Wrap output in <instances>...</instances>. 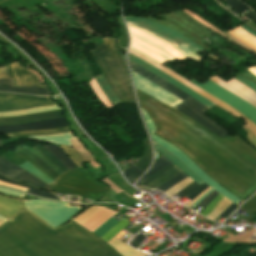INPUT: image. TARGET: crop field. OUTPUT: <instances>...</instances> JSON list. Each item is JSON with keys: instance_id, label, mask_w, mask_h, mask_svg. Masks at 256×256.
<instances>
[{"instance_id": "00972430", "label": "crop field", "mask_w": 256, "mask_h": 256, "mask_svg": "<svg viewBox=\"0 0 256 256\" xmlns=\"http://www.w3.org/2000/svg\"><path fill=\"white\" fill-rule=\"evenodd\" d=\"M43 148L55 155L67 168H76V166L70 161L69 157L61 148L53 145H45Z\"/></svg>"}, {"instance_id": "c035e120", "label": "crop field", "mask_w": 256, "mask_h": 256, "mask_svg": "<svg viewBox=\"0 0 256 256\" xmlns=\"http://www.w3.org/2000/svg\"><path fill=\"white\" fill-rule=\"evenodd\" d=\"M188 176H186L183 173L178 174L177 176H175L174 178L170 179L169 181H167L166 183H164L162 186H160L158 189L162 190V191H166L169 188H171L173 185H175L176 183L180 182L181 180H183L184 178H186Z\"/></svg>"}, {"instance_id": "0765c3eb", "label": "crop field", "mask_w": 256, "mask_h": 256, "mask_svg": "<svg viewBox=\"0 0 256 256\" xmlns=\"http://www.w3.org/2000/svg\"><path fill=\"white\" fill-rule=\"evenodd\" d=\"M211 188L209 187L208 189H206L202 194H200L197 198H195L193 201H191L188 205L186 206H190L192 205L197 199H199L202 195H204L208 190H210Z\"/></svg>"}, {"instance_id": "0fb4a251", "label": "crop field", "mask_w": 256, "mask_h": 256, "mask_svg": "<svg viewBox=\"0 0 256 256\" xmlns=\"http://www.w3.org/2000/svg\"><path fill=\"white\" fill-rule=\"evenodd\" d=\"M0 180L3 181V182H6V183H10V184H14V185L22 186V187H27V188L31 187V186H28V185H25V184H20V183L14 181V180H11L9 178H6V177L2 176V175H0ZM33 188H35V187H33Z\"/></svg>"}, {"instance_id": "d9b57169", "label": "crop field", "mask_w": 256, "mask_h": 256, "mask_svg": "<svg viewBox=\"0 0 256 256\" xmlns=\"http://www.w3.org/2000/svg\"><path fill=\"white\" fill-rule=\"evenodd\" d=\"M60 116H63L61 109L49 111V112L37 113V114L24 115V116L0 118V124H20V123L60 117Z\"/></svg>"}, {"instance_id": "214f88e0", "label": "crop field", "mask_w": 256, "mask_h": 256, "mask_svg": "<svg viewBox=\"0 0 256 256\" xmlns=\"http://www.w3.org/2000/svg\"><path fill=\"white\" fill-rule=\"evenodd\" d=\"M154 148L163 153L167 158H169L178 168H180L185 174L195 180L199 185L204 183L200 180L194 173H192L186 166H184L178 159H176L171 153L167 152L155 142H153ZM194 181V182H195Z\"/></svg>"}, {"instance_id": "d8731c3e", "label": "crop field", "mask_w": 256, "mask_h": 256, "mask_svg": "<svg viewBox=\"0 0 256 256\" xmlns=\"http://www.w3.org/2000/svg\"><path fill=\"white\" fill-rule=\"evenodd\" d=\"M54 102L47 97L1 93L0 92V111L18 110L33 106L53 104Z\"/></svg>"}, {"instance_id": "0bd39190", "label": "crop field", "mask_w": 256, "mask_h": 256, "mask_svg": "<svg viewBox=\"0 0 256 256\" xmlns=\"http://www.w3.org/2000/svg\"><path fill=\"white\" fill-rule=\"evenodd\" d=\"M61 147L78 167L83 166L82 165V163H84L83 159L73 148L63 147V146Z\"/></svg>"}, {"instance_id": "28ad6ade", "label": "crop field", "mask_w": 256, "mask_h": 256, "mask_svg": "<svg viewBox=\"0 0 256 256\" xmlns=\"http://www.w3.org/2000/svg\"><path fill=\"white\" fill-rule=\"evenodd\" d=\"M129 61L137 64L149 71H151L152 73L158 75L159 77L165 79L166 81L172 83L173 85H175L176 87L180 88L181 90H183L184 92L188 93L189 95H191L192 97H194L196 100H198L200 103H202L204 106L206 107H211L215 104L207 101L205 98L201 97L200 95H198L197 93H195L194 91L190 90L189 88H187L186 86H184L183 84L179 83L178 81H176L175 79L171 78L170 76L164 74L163 72L157 70L156 68L148 65L147 63L129 55Z\"/></svg>"}, {"instance_id": "dafd665d", "label": "crop field", "mask_w": 256, "mask_h": 256, "mask_svg": "<svg viewBox=\"0 0 256 256\" xmlns=\"http://www.w3.org/2000/svg\"><path fill=\"white\" fill-rule=\"evenodd\" d=\"M108 243L112 247H114L122 256H145L142 253L136 251L135 249L129 247L125 243L121 242L115 237L112 240H110Z\"/></svg>"}, {"instance_id": "425ffa30", "label": "crop field", "mask_w": 256, "mask_h": 256, "mask_svg": "<svg viewBox=\"0 0 256 256\" xmlns=\"http://www.w3.org/2000/svg\"><path fill=\"white\" fill-rule=\"evenodd\" d=\"M27 193L29 194H33V195H37V196H41V197H47V198H52V199H57L60 200L58 197L48 193V192H44V191H38V190H34L32 188H30Z\"/></svg>"}, {"instance_id": "1d83c4d3", "label": "crop field", "mask_w": 256, "mask_h": 256, "mask_svg": "<svg viewBox=\"0 0 256 256\" xmlns=\"http://www.w3.org/2000/svg\"><path fill=\"white\" fill-rule=\"evenodd\" d=\"M69 131L68 127L53 129V130H46V131H31V132H18L12 134H6L9 137L19 136V135H43V134H51V133H59V132H67Z\"/></svg>"}, {"instance_id": "d32e631a", "label": "crop field", "mask_w": 256, "mask_h": 256, "mask_svg": "<svg viewBox=\"0 0 256 256\" xmlns=\"http://www.w3.org/2000/svg\"><path fill=\"white\" fill-rule=\"evenodd\" d=\"M0 85H15L8 66L0 67Z\"/></svg>"}, {"instance_id": "eef30255", "label": "crop field", "mask_w": 256, "mask_h": 256, "mask_svg": "<svg viewBox=\"0 0 256 256\" xmlns=\"http://www.w3.org/2000/svg\"><path fill=\"white\" fill-rule=\"evenodd\" d=\"M99 86L101 87L102 91L105 93V95L110 99V101L114 104L120 102L118 100V98L115 96V94L112 92V90L110 89L109 85L107 84V82L105 81V79L103 78V76H97L95 77Z\"/></svg>"}, {"instance_id": "d1516ede", "label": "crop field", "mask_w": 256, "mask_h": 256, "mask_svg": "<svg viewBox=\"0 0 256 256\" xmlns=\"http://www.w3.org/2000/svg\"><path fill=\"white\" fill-rule=\"evenodd\" d=\"M64 126H67V125L61 117V118H55L50 120L25 123L20 125L0 126V133H7L12 131L52 129V128H58V127H64Z\"/></svg>"}, {"instance_id": "d23c7cc5", "label": "crop field", "mask_w": 256, "mask_h": 256, "mask_svg": "<svg viewBox=\"0 0 256 256\" xmlns=\"http://www.w3.org/2000/svg\"><path fill=\"white\" fill-rule=\"evenodd\" d=\"M241 209L255 213L256 212V195L246 202Z\"/></svg>"}, {"instance_id": "34b2d1b8", "label": "crop field", "mask_w": 256, "mask_h": 256, "mask_svg": "<svg viewBox=\"0 0 256 256\" xmlns=\"http://www.w3.org/2000/svg\"><path fill=\"white\" fill-rule=\"evenodd\" d=\"M111 188L96 181L83 167L69 171L57 179L50 190L79 194L98 200Z\"/></svg>"}, {"instance_id": "1d79db26", "label": "crop field", "mask_w": 256, "mask_h": 256, "mask_svg": "<svg viewBox=\"0 0 256 256\" xmlns=\"http://www.w3.org/2000/svg\"><path fill=\"white\" fill-rule=\"evenodd\" d=\"M244 129H245V131L248 132V139H249V141H250L254 146H256V136H255L250 130H248L247 128L244 127Z\"/></svg>"}, {"instance_id": "bc2a9ffb", "label": "crop field", "mask_w": 256, "mask_h": 256, "mask_svg": "<svg viewBox=\"0 0 256 256\" xmlns=\"http://www.w3.org/2000/svg\"><path fill=\"white\" fill-rule=\"evenodd\" d=\"M115 214L116 212L104 207L97 214H95L81 225L93 232Z\"/></svg>"}, {"instance_id": "db79e9e6", "label": "crop field", "mask_w": 256, "mask_h": 256, "mask_svg": "<svg viewBox=\"0 0 256 256\" xmlns=\"http://www.w3.org/2000/svg\"><path fill=\"white\" fill-rule=\"evenodd\" d=\"M241 27H243L246 31H248L250 34L254 35L256 37V33L254 31H252L250 28H248L246 25L242 24L240 25Z\"/></svg>"}, {"instance_id": "bd1437ed", "label": "crop field", "mask_w": 256, "mask_h": 256, "mask_svg": "<svg viewBox=\"0 0 256 256\" xmlns=\"http://www.w3.org/2000/svg\"><path fill=\"white\" fill-rule=\"evenodd\" d=\"M89 83H90V86H91L93 92L98 97V99L103 103V105L107 108H110L112 106L111 102L108 100V98L101 91V89L99 88L95 79H92L91 81H89Z\"/></svg>"}, {"instance_id": "03da06ac", "label": "crop field", "mask_w": 256, "mask_h": 256, "mask_svg": "<svg viewBox=\"0 0 256 256\" xmlns=\"http://www.w3.org/2000/svg\"><path fill=\"white\" fill-rule=\"evenodd\" d=\"M117 222H118V220L111 218L110 220H108L105 224H103L100 228H98L93 233H95L97 236L100 237L105 232H107L110 228H112Z\"/></svg>"}, {"instance_id": "92a150f3", "label": "crop field", "mask_w": 256, "mask_h": 256, "mask_svg": "<svg viewBox=\"0 0 256 256\" xmlns=\"http://www.w3.org/2000/svg\"><path fill=\"white\" fill-rule=\"evenodd\" d=\"M227 32H229L231 35H233L235 38H237L247 46L256 50V38L246 33L240 26Z\"/></svg>"}, {"instance_id": "e1f06a70", "label": "crop field", "mask_w": 256, "mask_h": 256, "mask_svg": "<svg viewBox=\"0 0 256 256\" xmlns=\"http://www.w3.org/2000/svg\"><path fill=\"white\" fill-rule=\"evenodd\" d=\"M102 207L100 206H93L90 207L89 209H87L84 213H82L81 215H79L78 217H76L75 221H77L78 223H83L84 221H86L88 218H90L91 216H93L98 210H100Z\"/></svg>"}, {"instance_id": "4177f3b9", "label": "crop field", "mask_w": 256, "mask_h": 256, "mask_svg": "<svg viewBox=\"0 0 256 256\" xmlns=\"http://www.w3.org/2000/svg\"><path fill=\"white\" fill-rule=\"evenodd\" d=\"M180 172L181 171L175 166V167L169 169L168 171H166L165 173H163L162 175H160L159 177H157L156 179H154L153 181L149 182L147 185H145V187H147V188H156V187H158L159 185H161L162 183H164L165 181H167L168 179H170L171 177H173L174 175H176ZM167 176H169V177L159 183L160 180L164 179Z\"/></svg>"}, {"instance_id": "d3111659", "label": "crop field", "mask_w": 256, "mask_h": 256, "mask_svg": "<svg viewBox=\"0 0 256 256\" xmlns=\"http://www.w3.org/2000/svg\"><path fill=\"white\" fill-rule=\"evenodd\" d=\"M172 163L171 161H169L167 158H165L164 156H160V158L153 164V166L151 167V169L148 171V173L143 177V179L138 183V185H140L144 180H146L148 177H150L151 175H153L154 173H156L158 170H160L161 168H163L164 166L168 165Z\"/></svg>"}, {"instance_id": "f4fd0767", "label": "crop field", "mask_w": 256, "mask_h": 256, "mask_svg": "<svg viewBox=\"0 0 256 256\" xmlns=\"http://www.w3.org/2000/svg\"><path fill=\"white\" fill-rule=\"evenodd\" d=\"M90 51L101 73L121 102H135L132 87H128L109 55L104 43Z\"/></svg>"}, {"instance_id": "750c4746", "label": "crop field", "mask_w": 256, "mask_h": 256, "mask_svg": "<svg viewBox=\"0 0 256 256\" xmlns=\"http://www.w3.org/2000/svg\"><path fill=\"white\" fill-rule=\"evenodd\" d=\"M34 149L37 150L40 154H42L46 159H48L55 167L60 169L63 173L68 171V169H66L57 158H55L53 155H51L46 150L42 149L41 147H39L37 145L34 147Z\"/></svg>"}, {"instance_id": "1f2cbd36", "label": "crop field", "mask_w": 256, "mask_h": 256, "mask_svg": "<svg viewBox=\"0 0 256 256\" xmlns=\"http://www.w3.org/2000/svg\"><path fill=\"white\" fill-rule=\"evenodd\" d=\"M175 166L173 163L164 167L163 169H161L159 172H157L156 174H154L153 176H151L149 179H147L145 182H143L141 185L144 186L145 184H147L149 181L153 180L154 178H156L157 176H159L160 174H162L163 172H165L166 170H168L169 168Z\"/></svg>"}, {"instance_id": "e52e79f7", "label": "crop field", "mask_w": 256, "mask_h": 256, "mask_svg": "<svg viewBox=\"0 0 256 256\" xmlns=\"http://www.w3.org/2000/svg\"><path fill=\"white\" fill-rule=\"evenodd\" d=\"M129 53L140 58L141 60L149 63L150 65L158 68L159 70L167 73L168 75L174 77L175 79H177L178 81H180L181 83H183L184 85L188 86L189 88H191L192 90H194L195 92H197L198 94L202 95L203 97L207 98L208 100L212 101L213 103L217 104L218 106L222 107L223 109L227 110L228 112H230L233 115H237L242 117L243 119H245L246 121H244L247 125V127L254 133L256 134V126L251 123L246 117H244L242 114H240L238 111L234 110L233 108L229 107L228 105L222 103L221 101L217 100L216 98L212 97L211 95H209L208 93L204 92L203 90H201L200 88H198L197 86L193 85L192 83H190L189 81H187L186 79H184L183 77L179 76L178 74H176L175 72H173L172 70L168 69L167 67L155 62L154 60L146 57L145 55L139 53L138 51L130 48Z\"/></svg>"}, {"instance_id": "5866460e", "label": "crop field", "mask_w": 256, "mask_h": 256, "mask_svg": "<svg viewBox=\"0 0 256 256\" xmlns=\"http://www.w3.org/2000/svg\"><path fill=\"white\" fill-rule=\"evenodd\" d=\"M150 162H151V150H150V146L146 145V151L144 155L135 165L144 172V170L148 167Z\"/></svg>"}, {"instance_id": "c21b1889", "label": "crop field", "mask_w": 256, "mask_h": 256, "mask_svg": "<svg viewBox=\"0 0 256 256\" xmlns=\"http://www.w3.org/2000/svg\"><path fill=\"white\" fill-rule=\"evenodd\" d=\"M191 182H193V181L188 177L185 180H183L182 182H180L179 184H177L176 186L169 189L165 193H167L171 197V196L175 195L176 193H178L180 190H182L184 187L189 185Z\"/></svg>"}, {"instance_id": "9d1cf04e", "label": "crop field", "mask_w": 256, "mask_h": 256, "mask_svg": "<svg viewBox=\"0 0 256 256\" xmlns=\"http://www.w3.org/2000/svg\"><path fill=\"white\" fill-rule=\"evenodd\" d=\"M237 205L231 204L221 215L220 217L225 218Z\"/></svg>"}, {"instance_id": "028f5c9d", "label": "crop field", "mask_w": 256, "mask_h": 256, "mask_svg": "<svg viewBox=\"0 0 256 256\" xmlns=\"http://www.w3.org/2000/svg\"><path fill=\"white\" fill-rule=\"evenodd\" d=\"M143 172L138 169L134 164L127 167L123 174L128 178V180L133 183Z\"/></svg>"}, {"instance_id": "730fd06b", "label": "crop field", "mask_w": 256, "mask_h": 256, "mask_svg": "<svg viewBox=\"0 0 256 256\" xmlns=\"http://www.w3.org/2000/svg\"><path fill=\"white\" fill-rule=\"evenodd\" d=\"M19 151L23 152L27 155L30 159H32L35 163H37L40 167H42L46 172H48L52 176H56L58 173L53 171L45 162H43L39 157H37L34 153L19 147Z\"/></svg>"}, {"instance_id": "dbb93151", "label": "crop field", "mask_w": 256, "mask_h": 256, "mask_svg": "<svg viewBox=\"0 0 256 256\" xmlns=\"http://www.w3.org/2000/svg\"><path fill=\"white\" fill-rule=\"evenodd\" d=\"M145 238V236L140 232L135 239L132 241V243L130 244L133 248H137L140 243L143 241V239Z\"/></svg>"}, {"instance_id": "22f410ed", "label": "crop field", "mask_w": 256, "mask_h": 256, "mask_svg": "<svg viewBox=\"0 0 256 256\" xmlns=\"http://www.w3.org/2000/svg\"><path fill=\"white\" fill-rule=\"evenodd\" d=\"M177 108L179 111L183 112L184 114L190 116L191 118L195 119L202 125H204L206 128L211 130L213 133H215L217 136H226L228 135L227 132H225L221 127H219L216 123L209 120L207 117H205L202 113L197 111L196 109L192 108L185 102L179 104L178 106L174 107Z\"/></svg>"}, {"instance_id": "89e229c0", "label": "crop field", "mask_w": 256, "mask_h": 256, "mask_svg": "<svg viewBox=\"0 0 256 256\" xmlns=\"http://www.w3.org/2000/svg\"><path fill=\"white\" fill-rule=\"evenodd\" d=\"M197 185L196 183H191L189 186H187L185 189H183L182 191H180L178 194H176L179 198L185 196L186 194H188L190 191H192L194 188H196Z\"/></svg>"}, {"instance_id": "733c2abd", "label": "crop field", "mask_w": 256, "mask_h": 256, "mask_svg": "<svg viewBox=\"0 0 256 256\" xmlns=\"http://www.w3.org/2000/svg\"><path fill=\"white\" fill-rule=\"evenodd\" d=\"M103 41H104L105 45L107 46L115 64L117 65V67H118V69H119V71L122 75V77L124 78V80L126 81L128 86H130L131 83H130V79H129L125 59L121 55L116 41H114L112 39H103Z\"/></svg>"}, {"instance_id": "412701ff", "label": "crop field", "mask_w": 256, "mask_h": 256, "mask_svg": "<svg viewBox=\"0 0 256 256\" xmlns=\"http://www.w3.org/2000/svg\"><path fill=\"white\" fill-rule=\"evenodd\" d=\"M128 26V25H127ZM130 36L132 38V48L147 55L148 57L164 64L174 59L180 61L186 59L180 52H178L172 45H169L149 34L139 31L128 26Z\"/></svg>"}, {"instance_id": "ae1a2a85", "label": "crop field", "mask_w": 256, "mask_h": 256, "mask_svg": "<svg viewBox=\"0 0 256 256\" xmlns=\"http://www.w3.org/2000/svg\"><path fill=\"white\" fill-rule=\"evenodd\" d=\"M212 81H214L215 83L219 84L220 86H222L223 88L227 89L228 91L234 93L235 95L239 96L240 98L244 99L245 101L251 103L252 105H254L256 107V101H254L253 99H251L250 97L244 95L243 93L237 91L236 89H234L233 87L229 86L228 84H226L224 81H222L221 79L215 77L213 79H211Z\"/></svg>"}, {"instance_id": "8a807250", "label": "crop field", "mask_w": 256, "mask_h": 256, "mask_svg": "<svg viewBox=\"0 0 256 256\" xmlns=\"http://www.w3.org/2000/svg\"><path fill=\"white\" fill-rule=\"evenodd\" d=\"M156 134L182 149L205 173L245 198L256 190V150L238 135L217 137L197 122L138 91Z\"/></svg>"}, {"instance_id": "25e5ab78", "label": "crop field", "mask_w": 256, "mask_h": 256, "mask_svg": "<svg viewBox=\"0 0 256 256\" xmlns=\"http://www.w3.org/2000/svg\"><path fill=\"white\" fill-rule=\"evenodd\" d=\"M235 79L240 81L241 83L245 84L246 86H248L249 88H251L252 90H254L256 92V84L250 82L249 80H247L242 75H240V74L237 75Z\"/></svg>"}, {"instance_id": "b54c1fbb", "label": "crop field", "mask_w": 256, "mask_h": 256, "mask_svg": "<svg viewBox=\"0 0 256 256\" xmlns=\"http://www.w3.org/2000/svg\"><path fill=\"white\" fill-rule=\"evenodd\" d=\"M218 193L214 190L209 195H207L204 199L201 200V202L198 204L194 210H198L200 207H202L199 211V213L208 205V203L217 195Z\"/></svg>"}, {"instance_id": "5d738f31", "label": "crop field", "mask_w": 256, "mask_h": 256, "mask_svg": "<svg viewBox=\"0 0 256 256\" xmlns=\"http://www.w3.org/2000/svg\"><path fill=\"white\" fill-rule=\"evenodd\" d=\"M208 187L209 186L204 183V184L200 185L199 187H197L192 192H190L188 195H186L185 198H187L189 200L187 203H189L191 200H193L195 197H197L200 193H202ZM187 203H185V205Z\"/></svg>"}, {"instance_id": "3316defc", "label": "crop field", "mask_w": 256, "mask_h": 256, "mask_svg": "<svg viewBox=\"0 0 256 256\" xmlns=\"http://www.w3.org/2000/svg\"><path fill=\"white\" fill-rule=\"evenodd\" d=\"M125 19L138 25V26L145 27V28L152 30L158 34H161L167 38H170L178 43L187 42L190 45H192L193 47H195L196 49H198L199 51H201V52L204 51L200 47H198L196 44H194L192 41H190L189 39L183 37L182 35L174 32L164 26L158 25V24L153 23L146 19H138V18H130V17H125Z\"/></svg>"}, {"instance_id": "120bbe31", "label": "crop field", "mask_w": 256, "mask_h": 256, "mask_svg": "<svg viewBox=\"0 0 256 256\" xmlns=\"http://www.w3.org/2000/svg\"><path fill=\"white\" fill-rule=\"evenodd\" d=\"M227 83L233 86L234 88H236L237 90L243 92L244 94L252 97L254 100H256V93L251 89H249L248 87H246L245 85L236 81L235 79L232 78Z\"/></svg>"}, {"instance_id": "dd49c442", "label": "crop field", "mask_w": 256, "mask_h": 256, "mask_svg": "<svg viewBox=\"0 0 256 256\" xmlns=\"http://www.w3.org/2000/svg\"><path fill=\"white\" fill-rule=\"evenodd\" d=\"M190 82L197 85L198 87L208 92L212 96L216 97L217 99L228 104L229 106L233 107L234 109L238 110L256 125V108L254 106L248 104L244 100L219 87L210 80L205 82L204 84L194 79Z\"/></svg>"}, {"instance_id": "b80d0937", "label": "crop field", "mask_w": 256, "mask_h": 256, "mask_svg": "<svg viewBox=\"0 0 256 256\" xmlns=\"http://www.w3.org/2000/svg\"><path fill=\"white\" fill-rule=\"evenodd\" d=\"M232 202L228 199H224L208 216V218L214 220L218 215H220Z\"/></svg>"}, {"instance_id": "5142ce71", "label": "crop field", "mask_w": 256, "mask_h": 256, "mask_svg": "<svg viewBox=\"0 0 256 256\" xmlns=\"http://www.w3.org/2000/svg\"><path fill=\"white\" fill-rule=\"evenodd\" d=\"M10 66L18 86L42 87L39 84L38 77L25 70L18 62L11 63Z\"/></svg>"}, {"instance_id": "447ae74e", "label": "crop field", "mask_w": 256, "mask_h": 256, "mask_svg": "<svg viewBox=\"0 0 256 256\" xmlns=\"http://www.w3.org/2000/svg\"><path fill=\"white\" fill-rule=\"evenodd\" d=\"M0 184L5 185V186H9V187H12V188L20 189V190H23V191H25V192L28 190V189H26V188L17 187V186H13V185H9V184L3 183V182H1V181H0Z\"/></svg>"}, {"instance_id": "4a817a6b", "label": "crop field", "mask_w": 256, "mask_h": 256, "mask_svg": "<svg viewBox=\"0 0 256 256\" xmlns=\"http://www.w3.org/2000/svg\"><path fill=\"white\" fill-rule=\"evenodd\" d=\"M22 208V200L0 196V215L9 219Z\"/></svg>"}, {"instance_id": "73cf0c24", "label": "crop field", "mask_w": 256, "mask_h": 256, "mask_svg": "<svg viewBox=\"0 0 256 256\" xmlns=\"http://www.w3.org/2000/svg\"><path fill=\"white\" fill-rule=\"evenodd\" d=\"M185 102H187L188 104H190L191 106H193L194 108H196L197 110H199L202 113L207 111V110H209L206 107H204L202 104H200L199 102L195 101L192 98L187 100V101H185Z\"/></svg>"}, {"instance_id": "a9b5d70f", "label": "crop field", "mask_w": 256, "mask_h": 256, "mask_svg": "<svg viewBox=\"0 0 256 256\" xmlns=\"http://www.w3.org/2000/svg\"><path fill=\"white\" fill-rule=\"evenodd\" d=\"M1 91L25 92L34 94L51 95L48 88H31V87H0Z\"/></svg>"}, {"instance_id": "cbeb9de0", "label": "crop field", "mask_w": 256, "mask_h": 256, "mask_svg": "<svg viewBox=\"0 0 256 256\" xmlns=\"http://www.w3.org/2000/svg\"><path fill=\"white\" fill-rule=\"evenodd\" d=\"M130 68L131 70L135 71L136 73H138L139 75L143 76L144 78L148 79L149 81H151L152 83L168 90L169 92H171L172 94L176 95L177 97H179L182 100H186L188 98H190L188 95H186L185 93H183L181 90H179L178 88H176L175 86H173L172 84L166 82L165 80L159 78L158 76L130 63Z\"/></svg>"}, {"instance_id": "ac0d7876", "label": "crop field", "mask_w": 256, "mask_h": 256, "mask_svg": "<svg viewBox=\"0 0 256 256\" xmlns=\"http://www.w3.org/2000/svg\"><path fill=\"white\" fill-rule=\"evenodd\" d=\"M0 256H121L80 224L55 229L22 209L0 227Z\"/></svg>"}, {"instance_id": "5a996713", "label": "crop field", "mask_w": 256, "mask_h": 256, "mask_svg": "<svg viewBox=\"0 0 256 256\" xmlns=\"http://www.w3.org/2000/svg\"><path fill=\"white\" fill-rule=\"evenodd\" d=\"M3 145L0 143V148ZM0 173L12 177L15 180L26 181L32 185H35L42 189H47L50 186L36 178L35 176L29 174L28 172L24 171L23 169L17 167L16 165L10 163L9 161L0 157Z\"/></svg>"}]
</instances>
